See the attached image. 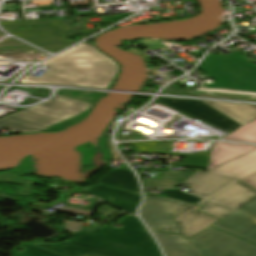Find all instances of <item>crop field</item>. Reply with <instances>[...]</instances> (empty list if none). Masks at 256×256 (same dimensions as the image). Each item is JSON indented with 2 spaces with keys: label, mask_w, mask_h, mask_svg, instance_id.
<instances>
[{
  "label": "crop field",
  "mask_w": 256,
  "mask_h": 256,
  "mask_svg": "<svg viewBox=\"0 0 256 256\" xmlns=\"http://www.w3.org/2000/svg\"><path fill=\"white\" fill-rule=\"evenodd\" d=\"M120 223L124 228L106 225L95 234L70 232L73 238L67 243L34 244L63 256H162L137 216L127 215Z\"/></svg>",
  "instance_id": "1"
},
{
  "label": "crop field",
  "mask_w": 256,
  "mask_h": 256,
  "mask_svg": "<svg viewBox=\"0 0 256 256\" xmlns=\"http://www.w3.org/2000/svg\"><path fill=\"white\" fill-rule=\"evenodd\" d=\"M236 51L229 55H208L197 69L217 82L200 90L256 94V66L240 57Z\"/></svg>",
  "instance_id": "2"
},
{
  "label": "crop field",
  "mask_w": 256,
  "mask_h": 256,
  "mask_svg": "<svg viewBox=\"0 0 256 256\" xmlns=\"http://www.w3.org/2000/svg\"><path fill=\"white\" fill-rule=\"evenodd\" d=\"M89 107L88 103L55 95L50 102L1 119L0 130L5 128L20 133L39 132L61 120L72 118Z\"/></svg>",
  "instance_id": "3"
},
{
  "label": "crop field",
  "mask_w": 256,
  "mask_h": 256,
  "mask_svg": "<svg viewBox=\"0 0 256 256\" xmlns=\"http://www.w3.org/2000/svg\"><path fill=\"white\" fill-rule=\"evenodd\" d=\"M118 72L113 61L53 65L40 79L26 75L23 83H51L107 88Z\"/></svg>",
  "instance_id": "4"
},
{
  "label": "crop field",
  "mask_w": 256,
  "mask_h": 256,
  "mask_svg": "<svg viewBox=\"0 0 256 256\" xmlns=\"http://www.w3.org/2000/svg\"><path fill=\"white\" fill-rule=\"evenodd\" d=\"M254 198L256 189L235 178L197 204L204 207L199 211L221 219Z\"/></svg>",
  "instance_id": "5"
},
{
  "label": "crop field",
  "mask_w": 256,
  "mask_h": 256,
  "mask_svg": "<svg viewBox=\"0 0 256 256\" xmlns=\"http://www.w3.org/2000/svg\"><path fill=\"white\" fill-rule=\"evenodd\" d=\"M189 241L202 256H256V245L211 227Z\"/></svg>",
  "instance_id": "6"
},
{
  "label": "crop field",
  "mask_w": 256,
  "mask_h": 256,
  "mask_svg": "<svg viewBox=\"0 0 256 256\" xmlns=\"http://www.w3.org/2000/svg\"><path fill=\"white\" fill-rule=\"evenodd\" d=\"M146 201L140 209V215L151 230L179 233L173 218L193 204L145 196Z\"/></svg>",
  "instance_id": "7"
},
{
  "label": "crop field",
  "mask_w": 256,
  "mask_h": 256,
  "mask_svg": "<svg viewBox=\"0 0 256 256\" xmlns=\"http://www.w3.org/2000/svg\"><path fill=\"white\" fill-rule=\"evenodd\" d=\"M213 227L256 243V199L231 212Z\"/></svg>",
  "instance_id": "8"
},
{
  "label": "crop field",
  "mask_w": 256,
  "mask_h": 256,
  "mask_svg": "<svg viewBox=\"0 0 256 256\" xmlns=\"http://www.w3.org/2000/svg\"><path fill=\"white\" fill-rule=\"evenodd\" d=\"M80 190L99 197L111 205L133 214H135V209L141 200L139 195L100 184L88 188H80Z\"/></svg>",
  "instance_id": "9"
},
{
  "label": "crop field",
  "mask_w": 256,
  "mask_h": 256,
  "mask_svg": "<svg viewBox=\"0 0 256 256\" xmlns=\"http://www.w3.org/2000/svg\"><path fill=\"white\" fill-rule=\"evenodd\" d=\"M199 208L200 207L194 205L174 218L178 229L187 240L218 220L196 211Z\"/></svg>",
  "instance_id": "10"
},
{
  "label": "crop field",
  "mask_w": 256,
  "mask_h": 256,
  "mask_svg": "<svg viewBox=\"0 0 256 256\" xmlns=\"http://www.w3.org/2000/svg\"><path fill=\"white\" fill-rule=\"evenodd\" d=\"M232 179L216 174L197 172L183 184L191 187L186 193L203 198Z\"/></svg>",
  "instance_id": "11"
},
{
  "label": "crop field",
  "mask_w": 256,
  "mask_h": 256,
  "mask_svg": "<svg viewBox=\"0 0 256 256\" xmlns=\"http://www.w3.org/2000/svg\"><path fill=\"white\" fill-rule=\"evenodd\" d=\"M209 172L242 179L256 172V150L210 170Z\"/></svg>",
  "instance_id": "12"
},
{
  "label": "crop field",
  "mask_w": 256,
  "mask_h": 256,
  "mask_svg": "<svg viewBox=\"0 0 256 256\" xmlns=\"http://www.w3.org/2000/svg\"><path fill=\"white\" fill-rule=\"evenodd\" d=\"M110 60L102 53L98 52L94 47L87 46L86 44L78 45L71 48L50 60L44 62V64L52 65L59 63H71V62H83V61H101Z\"/></svg>",
  "instance_id": "13"
},
{
  "label": "crop field",
  "mask_w": 256,
  "mask_h": 256,
  "mask_svg": "<svg viewBox=\"0 0 256 256\" xmlns=\"http://www.w3.org/2000/svg\"><path fill=\"white\" fill-rule=\"evenodd\" d=\"M254 149H256L255 146L214 142L210 155V164L207 170L213 169L229 160L246 154Z\"/></svg>",
  "instance_id": "14"
},
{
  "label": "crop field",
  "mask_w": 256,
  "mask_h": 256,
  "mask_svg": "<svg viewBox=\"0 0 256 256\" xmlns=\"http://www.w3.org/2000/svg\"><path fill=\"white\" fill-rule=\"evenodd\" d=\"M96 181L140 194L137 179L131 170L110 168Z\"/></svg>",
  "instance_id": "15"
},
{
  "label": "crop field",
  "mask_w": 256,
  "mask_h": 256,
  "mask_svg": "<svg viewBox=\"0 0 256 256\" xmlns=\"http://www.w3.org/2000/svg\"><path fill=\"white\" fill-rule=\"evenodd\" d=\"M166 256H199L193 247L179 235L154 233Z\"/></svg>",
  "instance_id": "16"
},
{
  "label": "crop field",
  "mask_w": 256,
  "mask_h": 256,
  "mask_svg": "<svg viewBox=\"0 0 256 256\" xmlns=\"http://www.w3.org/2000/svg\"><path fill=\"white\" fill-rule=\"evenodd\" d=\"M228 117L237 121L240 124L249 123L252 119L256 118V105L234 104V103H221V102H208L204 101Z\"/></svg>",
  "instance_id": "17"
},
{
  "label": "crop field",
  "mask_w": 256,
  "mask_h": 256,
  "mask_svg": "<svg viewBox=\"0 0 256 256\" xmlns=\"http://www.w3.org/2000/svg\"><path fill=\"white\" fill-rule=\"evenodd\" d=\"M193 117L228 133H231L238 127L242 126L205 103L199 108Z\"/></svg>",
  "instance_id": "18"
},
{
  "label": "crop field",
  "mask_w": 256,
  "mask_h": 256,
  "mask_svg": "<svg viewBox=\"0 0 256 256\" xmlns=\"http://www.w3.org/2000/svg\"><path fill=\"white\" fill-rule=\"evenodd\" d=\"M196 172L162 171L161 180L148 179L143 187H176Z\"/></svg>",
  "instance_id": "19"
},
{
  "label": "crop field",
  "mask_w": 256,
  "mask_h": 256,
  "mask_svg": "<svg viewBox=\"0 0 256 256\" xmlns=\"http://www.w3.org/2000/svg\"><path fill=\"white\" fill-rule=\"evenodd\" d=\"M223 138L224 140L256 142V119Z\"/></svg>",
  "instance_id": "20"
},
{
  "label": "crop field",
  "mask_w": 256,
  "mask_h": 256,
  "mask_svg": "<svg viewBox=\"0 0 256 256\" xmlns=\"http://www.w3.org/2000/svg\"><path fill=\"white\" fill-rule=\"evenodd\" d=\"M19 248H21L23 251L19 252L17 251ZM11 256H60L57 254H54L50 251H47L41 247H38L34 244L30 243H23L11 251Z\"/></svg>",
  "instance_id": "21"
},
{
  "label": "crop field",
  "mask_w": 256,
  "mask_h": 256,
  "mask_svg": "<svg viewBox=\"0 0 256 256\" xmlns=\"http://www.w3.org/2000/svg\"><path fill=\"white\" fill-rule=\"evenodd\" d=\"M159 102L169 107H172L176 110H179L183 113H186L190 116H192L197 111V109L203 104V103H197V102H182V101H167V100H159Z\"/></svg>",
  "instance_id": "22"
},
{
  "label": "crop field",
  "mask_w": 256,
  "mask_h": 256,
  "mask_svg": "<svg viewBox=\"0 0 256 256\" xmlns=\"http://www.w3.org/2000/svg\"><path fill=\"white\" fill-rule=\"evenodd\" d=\"M103 93L94 92H81V91H70V90H59L57 95L93 103L96 101Z\"/></svg>",
  "instance_id": "23"
},
{
  "label": "crop field",
  "mask_w": 256,
  "mask_h": 256,
  "mask_svg": "<svg viewBox=\"0 0 256 256\" xmlns=\"http://www.w3.org/2000/svg\"><path fill=\"white\" fill-rule=\"evenodd\" d=\"M171 167H199L207 168L209 157L186 156L184 163L170 162Z\"/></svg>",
  "instance_id": "24"
},
{
  "label": "crop field",
  "mask_w": 256,
  "mask_h": 256,
  "mask_svg": "<svg viewBox=\"0 0 256 256\" xmlns=\"http://www.w3.org/2000/svg\"><path fill=\"white\" fill-rule=\"evenodd\" d=\"M164 196L181 199V200L193 203V204H195L196 202H198L201 199V198L186 194L184 192L177 191L175 189H164Z\"/></svg>",
  "instance_id": "25"
},
{
  "label": "crop field",
  "mask_w": 256,
  "mask_h": 256,
  "mask_svg": "<svg viewBox=\"0 0 256 256\" xmlns=\"http://www.w3.org/2000/svg\"><path fill=\"white\" fill-rule=\"evenodd\" d=\"M65 222V227H66V231H78L81 228L82 223L80 222H70V221H66Z\"/></svg>",
  "instance_id": "26"
},
{
  "label": "crop field",
  "mask_w": 256,
  "mask_h": 256,
  "mask_svg": "<svg viewBox=\"0 0 256 256\" xmlns=\"http://www.w3.org/2000/svg\"><path fill=\"white\" fill-rule=\"evenodd\" d=\"M98 205L95 208H93L91 212L78 211V210L68 209V208H63L59 212H68V213H74V214H80V215H84V216H89L98 207Z\"/></svg>",
  "instance_id": "27"
},
{
  "label": "crop field",
  "mask_w": 256,
  "mask_h": 256,
  "mask_svg": "<svg viewBox=\"0 0 256 256\" xmlns=\"http://www.w3.org/2000/svg\"><path fill=\"white\" fill-rule=\"evenodd\" d=\"M107 141H108V145H109V148H110V152H111V155H112V159L114 160H121V158L119 157V155L117 154V152L114 150L112 144H111V138L110 136H107Z\"/></svg>",
  "instance_id": "28"
},
{
  "label": "crop field",
  "mask_w": 256,
  "mask_h": 256,
  "mask_svg": "<svg viewBox=\"0 0 256 256\" xmlns=\"http://www.w3.org/2000/svg\"><path fill=\"white\" fill-rule=\"evenodd\" d=\"M244 182L248 183L252 187L256 188V173L243 179Z\"/></svg>",
  "instance_id": "29"
},
{
  "label": "crop field",
  "mask_w": 256,
  "mask_h": 256,
  "mask_svg": "<svg viewBox=\"0 0 256 256\" xmlns=\"http://www.w3.org/2000/svg\"><path fill=\"white\" fill-rule=\"evenodd\" d=\"M160 99H167V98H160ZM167 100H181V99H167ZM182 101H195V100H182ZM197 102H202V101H197Z\"/></svg>",
  "instance_id": "30"
},
{
  "label": "crop field",
  "mask_w": 256,
  "mask_h": 256,
  "mask_svg": "<svg viewBox=\"0 0 256 256\" xmlns=\"http://www.w3.org/2000/svg\"><path fill=\"white\" fill-rule=\"evenodd\" d=\"M83 256H95V255H91V254H85V255H83Z\"/></svg>",
  "instance_id": "31"
}]
</instances>
